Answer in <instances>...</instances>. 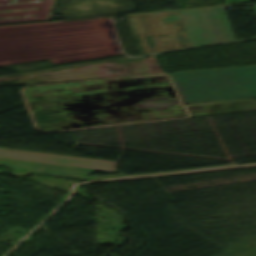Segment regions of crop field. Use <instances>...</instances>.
Masks as SVG:
<instances>
[{
  "instance_id": "crop-field-7",
  "label": "crop field",
  "mask_w": 256,
  "mask_h": 256,
  "mask_svg": "<svg viewBox=\"0 0 256 256\" xmlns=\"http://www.w3.org/2000/svg\"><path fill=\"white\" fill-rule=\"evenodd\" d=\"M253 8H254V10L256 11V6H254Z\"/></svg>"
},
{
  "instance_id": "crop-field-1",
  "label": "crop field",
  "mask_w": 256,
  "mask_h": 256,
  "mask_svg": "<svg viewBox=\"0 0 256 256\" xmlns=\"http://www.w3.org/2000/svg\"><path fill=\"white\" fill-rule=\"evenodd\" d=\"M184 102L256 96V66L171 73Z\"/></svg>"
},
{
  "instance_id": "crop-field-3",
  "label": "crop field",
  "mask_w": 256,
  "mask_h": 256,
  "mask_svg": "<svg viewBox=\"0 0 256 256\" xmlns=\"http://www.w3.org/2000/svg\"><path fill=\"white\" fill-rule=\"evenodd\" d=\"M191 46L235 40L221 7L178 11Z\"/></svg>"
},
{
  "instance_id": "crop-field-4",
  "label": "crop field",
  "mask_w": 256,
  "mask_h": 256,
  "mask_svg": "<svg viewBox=\"0 0 256 256\" xmlns=\"http://www.w3.org/2000/svg\"><path fill=\"white\" fill-rule=\"evenodd\" d=\"M0 157L108 171H116L115 167L118 163L113 161L97 160L90 158L52 155L32 151L11 150L2 148H0Z\"/></svg>"
},
{
  "instance_id": "crop-field-5",
  "label": "crop field",
  "mask_w": 256,
  "mask_h": 256,
  "mask_svg": "<svg viewBox=\"0 0 256 256\" xmlns=\"http://www.w3.org/2000/svg\"><path fill=\"white\" fill-rule=\"evenodd\" d=\"M0 163H8L14 166L13 173L22 174L29 170H37L40 172H48V173H57V174H65V175H74L83 177L84 175L94 171L92 169H83V168H75V167H67V166H59V165H50V164H42V163H34V162H26V161H18V160H9V159H1ZM100 171V170H97ZM108 172V171H102ZM115 173V172H109ZM124 174L117 175H107V176H86L84 179H92V178H102V177H112V176H122Z\"/></svg>"
},
{
  "instance_id": "crop-field-6",
  "label": "crop field",
  "mask_w": 256,
  "mask_h": 256,
  "mask_svg": "<svg viewBox=\"0 0 256 256\" xmlns=\"http://www.w3.org/2000/svg\"><path fill=\"white\" fill-rule=\"evenodd\" d=\"M250 166H256V165L240 166V167H231V168H222V169H212V170H203V171H194V172H184V173H174V174H164V175H154V176H145V177H135V178H125V179H115V180H105V181L90 182V183H88V184H92V183H101V182H109V181H118V180H127V179H141V178H150V177H159V176H168V175H177V174L204 172V171H214V170H223V169L250 167Z\"/></svg>"
},
{
  "instance_id": "crop-field-2",
  "label": "crop field",
  "mask_w": 256,
  "mask_h": 256,
  "mask_svg": "<svg viewBox=\"0 0 256 256\" xmlns=\"http://www.w3.org/2000/svg\"><path fill=\"white\" fill-rule=\"evenodd\" d=\"M174 12L127 16L141 54L190 46Z\"/></svg>"
}]
</instances>
